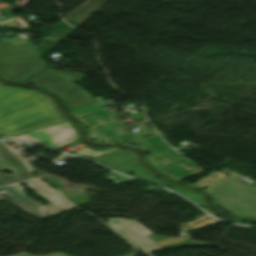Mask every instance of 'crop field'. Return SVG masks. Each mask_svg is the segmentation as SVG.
Returning <instances> with one entry per match:
<instances>
[{"mask_svg": "<svg viewBox=\"0 0 256 256\" xmlns=\"http://www.w3.org/2000/svg\"><path fill=\"white\" fill-rule=\"evenodd\" d=\"M46 66L33 44L13 48L4 41L0 42V76L49 89L61 97L70 110L96 104L88 92L72 83L83 75L50 70Z\"/></svg>", "mask_w": 256, "mask_h": 256, "instance_id": "8a807250", "label": "crop field"}, {"mask_svg": "<svg viewBox=\"0 0 256 256\" xmlns=\"http://www.w3.org/2000/svg\"><path fill=\"white\" fill-rule=\"evenodd\" d=\"M59 121L62 119L45 96L0 85V133L17 135Z\"/></svg>", "mask_w": 256, "mask_h": 256, "instance_id": "ac0d7876", "label": "crop field"}, {"mask_svg": "<svg viewBox=\"0 0 256 256\" xmlns=\"http://www.w3.org/2000/svg\"><path fill=\"white\" fill-rule=\"evenodd\" d=\"M130 144L146 150L154 166L163 174L176 180L202 172L190 160L175 152L158 134Z\"/></svg>", "mask_w": 256, "mask_h": 256, "instance_id": "34b2d1b8", "label": "crop field"}, {"mask_svg": "<svg viewBox=\"0 0 256 256\" xmlns=\"http://www.w3.org/2000/svg\"><path fill=\"white\" fill-rule=\"evenodd\" d=\"M239 178L230 174L207 187L218 206L234 214L256 217V187L236 181Z\"/></svg>", "mask_w": 256, "mask_h": 256, "instance_id": "412701ff", "label": "crop field"}, {"mask_svg": "<svg viewBox=\"0 0 256 256\" xmlns=\"http://www.w3.org/2000/svg\"><path fill=\"white\" fill-rule=\"evenodd\" d=\"M22 183V182H20ZM29 187L42 195L52 204L47 206H40L34 201L23 195L24 191L21 186L13 184L10 186L0 188V199L4 198L13 205L41 218L54 213H58L67 209H71L74 206L68 204L65 200L61 199L58 193L42 182L40 179L35 178L28 181H24Z\"/></svg>", "mask_w": 256, "mask_h": 256, "instance_id": "f4fd0767", "label": "crop field"}, {"mask_svg": "<svg viewBox=\"0 0 256 256\" xmlns=\"http://www.w3.org/2000/svg\"><path fill=\"white\" fill-rule=\"evenodd\" d=\"M74 117L79 119L89 128L90 137L97 142L128 143L149 134L156 133L155 130L150 129L141 123L137 126L143 130L139 132L137 136L125 134L122 132V130L125 129V126L103 109L87 112Z\"/></svg>", "mask_w": 256, "mask_h": 256, "instance_id": "dd49c442", "label": "crop field"}, {"mask_svg": "<svg viewBox=\"0 0 256 256\" xmlns=\"http://www.w3.org/2000/svg\"><path fill=\"white\" fill-rule=\"evenodd\" d=\"M97 161L102 162L106 166L115 169L117 171H120L122 173L124 172H134L133 176L145 180L152 181L157 184L165 185V186H170L171 189L183 194L190 200L194 201L200 206L205 205L204 200L200 197L199 194L197 193H192V192H186L182 189L176 188L172 185H169L167 183H164L162 181L154 179L151 175H149L147 172L143 170V168L135 162V156L133 153H131L128 150H120L118 152L103 156L101 158L95 159Z\"/></svg>", "mask_w": 256, "mask_h": 256, "instance_id": "e52e79f7", "label": "crop field"}, {"mask_svg": "<svg viewBox=\"0 0 256 256\" xmlns=\"http://www.w3.org/2000/svg\"><path fill=\"white\" fill-rule=\"evenodd\" d=\"M1 138L31 142L43 141L46 143V145L57 149L78 139L71 124L67 121L56 125L35 129L18 137L6 135L2 136Z\"/></svg>", "mask_w": 256, "mask_h": 256, "instance_id": "d8731c3e", "label": "crop field"}, {"mask_svg": "<svg viewBox=\"0 0 256 256\" xmlns=\"http://www.w3.org/2000/svg\"><path fill=\"white\" fill-rule=\"evenodd\" d=\"M106 224L113 230L124 236L143 253H151L162 249L159 245L149 239L146 235L151 234L149 230L133 220L107 218Z\"/></svg>", "mask_w": 256, "mask_h": 256, "instance_id": "5a996713", "label": "crop field"}, {"mask_svg": "<svg viewBox=\"0 0 256 256\" xmlns=\"http://www.w3.org/2000/svg\"><path fill=\"white\" fill-rule=\"evenodd\" d=\"M10 170L13 175L0 173V187L35 178L17 159L0 144V171Z\"/></svg>", "mask_w": 256, "mask_h": 256, "instance_id": "3316defc", "label": "crop field"}, {"mask_svg": "<svg viewBox=\"0 0 256 256\" xmlns=\"http://www.w3.org/2000/svg\"><path fill=\"white\" fill-rule=\"evenodd\" d=\"M115 150H117V148H104V149L94 151L90 148L85 147V148L75 152L74 154L84 156V157H87V158H95V157H99L101 155H104L106 153H109V152H112V151H115Z\"/></svg>", "mask_w": 256, "mask_h": 256, "instance_id": "28ad6ade", "label": "crop field"}, {"mask_svg": "<svg viewBox=\"0 0 256 256\" xmlns=\"http://www.w3.org/2000/svg\"><path fill=\"white\" fill-rule=\"evenodd\" d=\"M9 152H11L25 167H27L32 173L34 168L31 167L29 161L25 159L22 152L14 149L12 146L8 145L7 142H0Z\"/></svg>", "mask_w": 256, "mask_h": 256, "instance_id": "d1516ede", "label": "crop field"}, {"mask_svg": "<svg viewBox=\"0 0 256 256\" xmlns=\"http://www.w3.org/2000/svg\"><path fill=\"white\" fill-rule=\"evenodd\" d=\"M224 176H225V175L222 174V173L215 172V173H213V174H211V175L205 177L204 179H202V180H200V181L194 183L193 185H196V186H198V187H200V188H204V187H206L207 185H209V184L215 182L216 180H218V179H220V178H222V177H224Z\"/></svg>", "mask_w": 256, "mask_h": 256, "instance_id": "22f410ed", "label": "crop field"}, {"mask_svg": "<svg viewBox=\"0 0 256 256\" xmlns=\"http://www.w3.org/2000/svg\"><path fill=\"white\" fill-rule=\"evenodd\" d=\"M12 256H34V255H29V254H26V253H21V254H16V255H12ZM47 256H67V255H64L62 253H53V254H50V255H47Z\"/></svg>", "mask_w": 256, "mask_h": 256, "instance_id": "cbeb9de0", "label": "crop field"}, {"mask_svg": "<svg viewBox=\"0 0 256 256\" xmlns=\"http://www.w3.org/2000/svg\"><path fill=\"white\" fill-rule=\"evenodd\" d=\"M123 256H132V252L129 253V254L123 255Z\"/></svg>", "mask_w": 256, "mask_h": 256, "instance_id": "5142ce71", "label": "crop field"}, {"mask_svg": "<svg viewBox=\"0 0 256 256\" xmlns=\"http://www.w3.org/2000/svg\"><path fill=\"white\" fill-rule=\"evenodd\" d=\"M147 256H151V254H148Z\"/></svg>", "mask_w": 256, "mask_h": 256, "instance_id": "d9b57169", "label": "crop field"}]
</instances>
